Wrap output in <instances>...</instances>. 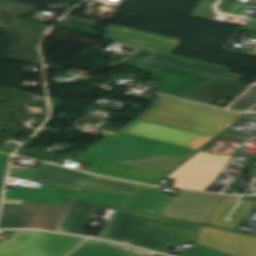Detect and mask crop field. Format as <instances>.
<instances>
[{"label": "crop field", "instance_id": "obj_31", "mask_svg": "<svg viewBox=\"0 0 256 256\" xmlns=\"http://www.w3.org/2000/svg\"><path fill=\"white\" fill-rule=\"evenodd\" d=\"M157 256H162V255H157Z\"/></svg>", "mask_w": 256, "mask_h": 256}, {"label": "crop field", "instance_id": "obj_29", "mask_svg": "<svg viewBox=\"0 0 256 256\" xmlns=\"http://www.w3.org/2000/svg\"><path fill=\"white\" fill-rule=\"evenodd\" d=\"M251 111H256V107L253 110H251Z\"/></svg>", "mask_w": 256, "mask_h": 256}, {"label": "crop field", "instance_id": "obj_3", "mask_svg": "<svg viewBox=\"0 0 256 256\" xmlns=\"http://www.w3.org/2000/svg\"><path fill=\"white\" fill-rule=\"evenodd\" d=\"M85 239L36 231H12L0 239V256H65Z\"/></svg>", "mask_w": 256, "mask_h": 256}, {"label": "crop field", "instance_id": "obj_28", "mask_svg": "<svg viewBox=\"0 0 256 256\" xmlns=\"http://www.w3.org/2000/svg\"><path fill=\"white\" fill-rule=\"evenodd\" d=\"M14 151H15V149L0 146V152H5V153L12 154Z\"/></svg>", "mask_w": 256, "mask_h": 256}, {"label": "crop field", "instance_id": "obj_22", "mask_svg": "<svg viewBox=\"0 0 256 256\" xmlns=\"http://www.w3.org/2000/svg\"><path fill=\"white\" fill-rule=\"evenodd\" d=\"M76 160L93 163L91 166L85 169V171H89L97 174H100L112 162L111 160L97 158V157L88 156L84 154H80L76 158Z\"/></svg>", "mask_w": 256, "mask_h": 256}, {"label": "crop field", "instance_id": "obj_4", "mask_svg": "<svg viewBox=\"0 0 256 256\" xmlns=\"http://www.w3.org/2000/svg\"><path fill=\"white\" fill-rule=\"evenodd\" d=\"M57 186L82 190L84 186L118 192L134 196L141 185L89 175L76 170L44 163L36 173L29 178Z\"/></svg>", "mask_w": 256, "mask_h": 256}, {"label": "crop field", "instance_id": "obj_21", "mask_svg": "<svg viewBox=\"0 0 256 256\" xmlns=\"http://www.w3.org/2000/svg\"><path fill=\"white\" fill-rule=\"evenodd\" d=\"M147 254L148 252L89 239L69 256H146Z\"/></svg>", "mask_w": 256, "mask_h": 256}, {"label": "crop field", "instance_id": "obj_9", "mask_svg": "<svg viewBox=\"0 0 256 256\" xmlns=\"http://www.w3.org/2000/svg\"><path fill=\"white\" fill-rule=\"evenodd\" d=\"M224 195L180 191L160 216L203 224Z\"/></svg>", "mask_w": 256, "mask_h": 256}, {"label": "crop field", "instance_id": "obj_16", "mask_svg": "<svg viewBox=\"0 0 256 256\" xmlns=\"http://www.w3.org/2000/svg\"><path fill=\"white\" fill-rule=\"evenodd\" d=\"M238 196H224L212 214L205 221V225L233 230L240 221L251 211L254 202L242 200L238 208L232 214L230 222H223L230 211L236 205Z\"/></svg>", "mask_w": 256, "mask_h": 256}, {"label": "crop field", "instance_id": "obj_20", "mask_svg": "<svg viewBox=\"0 0 256 256\" xmlns=\"http://www.w3.org/2000/svg\"><path fill=\"white\" fill-rule=\"evenodd\" d=\"M97 205L74 200L57 231L82 235Z\"/></svg>", "mask_w": 256, "mask_h": 256}, {"label": "crop field", "instance_id": "obj_15", "mask_svg": "<svg viewBox=\"0 0 256 256\" xmlns=\"http://www.w3.org/2000/svg\"><path fill=\"white\" fill-rule=\"evenodd\" d=\"M104 143L185 161L196 150L118 132Z\"/></svg>", "mask_w": 256, "mask_h": 256}, {"label": "crop field", "instance_id": "obj_8", "mask_svg": "<svg viewBox=\"0 0 256 256\" xmlns=\"http://www.w3.org/2000/svg\"><path fill=\"white\" fill-rule=\"evenodd\" d=\"M124 47L132 48L136 51H138L136 54L132 56L131 59H128L126 61H123L119 63V65L143 70V71H150L154 70L161 65L145 62L142 60H145L144 58L148 56L152 50L139 48L127 44H123ZM146 61L160 63L164 65L174 66L182 69H187L195 72H200L208 75H213L221 78H226L230 80L237 81L241 78L240 75L230 74L227 73L229 71V68L216 66L212 64L202 63L174 55L165 54L162 52L155 51Z\"/></svg>", "mask_w": 256, "mask_h": 256}, {"label": "crop field", "instance_id": "obj_27", "mask_svg": "<svg viewBox=\"0 0 256 256\" xmlns=\"http://www.w3.org/2000/svg\"><path fill=\"white\" fill-rule=\"evenodd\" d=\"M4 203L22 204V203H23V200L5 199Z\"/></svg>", "mask_w": 256, "mask_h": 256}, {"label": "crop field", "instance_id": "obj_6", "mask_svg": "<svg viewBox=\"0 0 256 256\" xmlns=\"http://www.w3.org/2000/svg\"><path fill=\"white\" fill-rule=\"evenodd\" d=\"M232 156L200 151L166 178L175 180V188L207 191Z\"/></svg>", "mask_w": 256, "mask_h": 256}, {"label": "crop field", "instance_id": "obj_13", "mask_svg": "<svg viewBox=\"0 0 256 256\" xmlns=\"http://www.w3.org/2000/svg\"><path fill=\"white\" fill-rule=\"evenodd\" d=\"M106 39L173 54L181 40L108 24Z\"/></svg>", "mask_w": 256, "mask_h": 256}, {"label": "crop field", "instance_id": "obj_23", "mask_svg": "<svg viewBox=\"0 0 256 256\" xmlns=\"http://www.w3.org/2000/svg\"><path fill=\"white\" fill-rule=\"evenodd\" d=\"M254 104H256V88L252 87L229 109L236 111H244L253 106Z\"/></svg>", "mask_w": 256, "mask_h": 256}, {"label": "crop field", "instance_id": "obj_7", "mask_svg": "<svg viewBox=\"0 0 256 256\" xmlns=\"http://www.w3.org/2000/svg\"><path fill=\"white\" fill-rule=\"evenodd\" d=\"M73 200L64 199L59 207L26 204L6 206L0 219V228H40L56 231Z\"/></svg>", "mask_w": 256, "mask_h": 256}, {"label": "crop field", "instance_id": "obj_17", "mask_svg": "<svg viewBox=\"0 0 256 256\" xmlns=\"http://www.w3.org/2000/svg\"><path fill=\"white\" fill-rule=\"evenodd\" d=\"M249 86L215 79L180 98L210 105L220 95L235 98Z\"/></svg>", "mask_w": 256, "mask_h": 256}, {"label": "crop field", "instance_id": "obj_26", "mask_svg": "<svg viewBox=\"0 0 256 256\" xmlns=\"http://www.w3.org/2000/svg\"><path fill=\"white\" fill-rule=\"evenodd\" d=\"M9 155L0 153V191L3 189Z\"/></svg>", "mask_w": 256, "mask_h": 256}, {"label": "crop field", "instance_id": "obj_18", "mask_svg": "<svg viewBox=\"0 0 256 256\" xmlns=\"http://www.w3.org/2000/svg\"><path fill=\"white\" fill-rule=\"evenodd\" d=\"M101 175L155 185L168 174L113 161Z\"/></svg>", "mask_w": 256, "mask_h": 256}, {"label": "crop field", "instance_id": "obj_1", "mask_svg": "<svg viewBox=\"0 0 256 256\" xmlns=\"http://www.w3.org/2000/svg\"><path fill=\"white\" fill-rule=\"evenodd\" d=\"M200 225L117 208L102 238L164 252L195 243Z\"/></svg>", "mask_w": 256, "mask_h": 256}, {"label": "crop field", "instance_id": "obj_2", "mask_svg": "<svg viewBox=\"0 0 256 256\" xmlns=\"http://www.w3.org/2000/svg\"><path fill=\"white\" fill-rule=\"evenodd\" d=\"M154 106L138 119L217 136L240 116L208 106L159 95Z\"/></svg>", "mask_w": 256, "mask_h": 256}, {"label": "crop field", "instance_id": "obj_14", "mask_svg": "<svg viewBox=\"0 0 256 256\" xmlns=\"http://www.w3.org/2000/svg\"><path fill=\"white\" fill-rule=\"evenodd\" d=\"M161 84L157 93L179 97L215 78L162 66L150 72Z\"/></svg>", "mask_w": 256, "mask_h": 256}, {"label": "crop field", "instance_id": "obj_24", "mask_svg": "<svg viewBox=\"0 0 256 256\" xmlns=\"http://www.w3.org/2000/svg\"><path fill=\"white\" fill-rule=\"evenodd\" d=\"M178 256H231L200 245H193Z\"/></svg>", "mask_w": 256, "mask_h": 256}, {"label": "crop field", "instance_id": "obj_11", "mask_svg": "<svg viewBox=\"0 0 256 256\" xmlns=\"http://www.w3.org/2000/svg\"><path fill=\"white\" fill-rule=\"evenodd\" d=\"M84 154L116 160L149 169L169 173L182 163V161L134 151L126 148L97 143L88 148Z\"/></svg>", "mask_w": 256, "mask_h": 256}, {"label": "crop field", "instance_id": "obj_25", "mask_svg": "<svg viewBox=\"0 0 256 256\" xmlns=\"http://www.w3.org/2000/svg\"><path fill=\"white\" fill-rule=\"evenodd\" d=\"M17 154L22 155V156L39 158V159H43V160H47V161H51V162H53V160L56 156L54 154L38 151V149L36 147L32 148L29 151H22V152H19Z\"/></svg>", "mask_w": 256, "mask_h": 256}, {"label": "crop field", "instance_id": "obj_32", "mask_svg": "<svg viewBox=\"0 0 256 256\" xmlns=\"http://www.w3.org/2000/svg\"><path fill=\"white\" fill-rule=\"evenodd\" d=\"M1 193H2V192H0V196H1Z\"/></svg>", "mask_w": 256, "mask_h": 256}, {"label": "crop field", "instance_id": "obj_12", "mask_svg": "<svg viewBox=\"0 0 256 256\" xmlns=\"http://www.w3.org/2000/svg\"><path fill=\"white\" fill-rule=\"evenodd\" d=\"M196 243L234 256H256V237L203 225Z\"/></svg>", "mask_w": 256, "mask_h": 256}, {"label": "crop field", "instance_id": "obj_30", "mask_svg": "<svg viewBox=\"0 0 256 256\" xmlns=\"http://www.w3.org/2000/svg\"><path fill=\"white\" fill-rule=\"evenodd\" d=\"M228 1H232V2H235V0H228Z\"/></svg>", "mask_w": 256, "mask_h": 256}, {"label": "crop field", "instance_id": "obj_5", "mask_svg": "<svg viewBox=\"0 0 256 256\" xmlns=\"http://www.w3.org/2000/svg\"><path fill=\"white\" fill-rule=\"evenodd\" d=\"M63 197L84 200L123 208L132 198L130 196L84 187L75 191L42 183L39 190H6L5 198L24 199V202L51 204L58 206Z\"/></svg>", "mask_w": 256, "mask_h": 256}, {"label": "crop field", "instance_id": "obj_10", "mask_svg": "<svg viewBox=\"0 0 256 256\" xmlns=\"http://www.w3.org/2000/svg\"><path fill=\"white\" fill-rule=\"evenodd\" d=\"M121 132L142 136L154 140H159L175 145H180L199 150L204 146L212 136L149 123L141 120H134Z\"/></svg>", "mask_w": 256, "mask_h": 256}, {"label": "crop field", "instance_id": "obj_19", "mask_svg": "<svg viewBox=\"0 0 256 256\" xmlns=\"http://www.w3.org/2000/svg\"><path fill=\"white\" fill-rule=\"evenodd\" d=\"M163 190L143 186L124 208L159 215L173 199V197L159 194Z\"/></svg>", "mask_w": 256, "mask_h": 256}]
</instances>
